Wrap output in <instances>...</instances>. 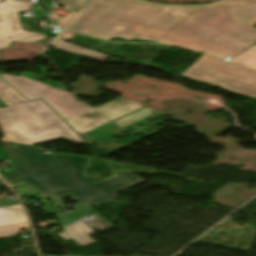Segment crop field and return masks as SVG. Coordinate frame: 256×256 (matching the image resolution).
<instances>
[{"mask_svg": "<svg viewBox=\"0 0 256 256\" xmlns=\"http://www.w3.org/2000/svg\"><path fill=\"white\" fill-rule=\"evenodd\" d=\"M74 15H75L74 13H70L68 16L63 17L56 22L59 24L61 28H63L65 25H67L70 22V20L74 17Z\"/></svg>", "mask_w": 256, "mask_h": 256, "instance_id": "obj_14", "label": "crop field"}, {"mask_svg": "<svg viewBox=\"0 0 256 256\" xmlns=\"http://www.w3.org/2000/svg\"><path fill=\"white\" fill-rule=\"evenodd\" d=\"M11 86L16 88L30 101L35 98L44 99L64 120L91 109L88 105L78 103L70 93L64 90L51 88L27 77H14L9 74H2Z\"/></svg>", "mask_w": 256, "mask_h": 256, "instance_id": "obj_4", "label": "crop field"}, {"mask_svg": "<svg viewBox=\"0 0 256 256\" xmlns=\"http://www.w3.org/2000/svg\"><path fill=\"white\" fill-rule=\"evenodd\" d=\"M0 99L7 103L35 133L62 121L40 99L32 103L27 102L1 79Z\"/></svg>", "mask_w": 256, "mask_h": 256, "instance_id": "obj_6", "label": "crop field"}, {"mask_svg": "<svg viewBox=\"0 0 256 256\" xmlns=\"http://www.w3.org/2000/svg\"><path fill=\"white\" fill-rule=\"evenodd\" d=\"M73 35H74V34L65 32L60 38H61V39H66V40H68V39L72 38Z\"/></svg>", "mask_w": 256, "mask_h": 256, "instance_id": "obj_15", "label": "crop field"}, {"mask_svg": "<svg viewBox=\"0 0 256 256\" xmlns=\"http://www.w3.org/2000/svg\"><path fill=\"white\" fill-rule=\"evenodd\" d=\"M12 170L2 174L3 179L14 187L22 182L29 184L49 200L70 194L74 201L94 206L112 201L115 194L145 180L126 172L115 178L96 183L89 181L82 170L86 157L71 155H40L35 147L4 142Z\"/></svg>", "mask_w": 256, "mask_h": 256, "instance_id": "obj_2", "label": "crop field"}, {"mask_svg": "<svg viewBox=\"0 0 256 256\" xmlns=\"http://www.w3.org/2000/svg\"><path fill=\"white\" fill-rule=\"evenodd\" d=\"M25 221L28 220L20 205L0 208V225L19 223Z\"/></svg>", "mask_w": 256, "mask_h": 256, "instance_id": "obj_10", "label": "crop field"}, {"mask_svg": "<svg viewBox=\"0 0 256 256\" xmlns=\"http://www.w3.org/2000/svg\"><path fill=\"white\" fill-rule=\"evenodd\" d=\"M231 62L256 69V45L233 58Z\"/></svg>", "mask_w": 256, "mask_h": 256, "instance_id": "obj_11", "label": "crop field"}, {"mask_svg": "<svg viewBox=\"0 0 256 256\" xmlns=\"http://www.w3.org/2000/svg\"><path fill=\"white\" fill-rule=\"evenodd\" d=\"M31 8V4L16 0L0 2V48H6L12 41L34 42L47 36L21 30L17 13Z\"/></svg>", "mask_w": 256, "mask_h": 256, "instance_id": "obj_7", "label": "crop field"}, {"mask_svg": "<svg viewBox=\"0 0 256 256\" xmlns=\"http://www.w3.org/2000/svg\"><path fill=\"white\" fill-rule=\"evenodd\" d=\"M95 214L92 207H89L84 204L77 203L75 204L74 210L71 212H65L58 214L63 226L74 221H77L82 218L89 217Z\"/></svg>", "mask_w": 256, "mask_h": 256, "instance_id": "obj_9", "label": "crop field"}, {"mask_svg": "<svg viewBox=\"0 0 256 256\" xmlns=\"http://www.w3.org/2000/svg\"><path fill=\"white\" fill-rule=\"evenodd\" d=\"M1 206H5L4 203L2 202V200L0 199V207Z\"/></svg>", "mask_w": 256, "mask_h": 256, "instance_id": "obj_17", "label": "crop field"}, {"mask_svg": "<svg viewBox=\"0 0 256 256\" xmlns=\"http://www.w3.org/2000/svg\"><path fill=\"white\" fill-rule=\"evenodd\" d=\"M63 139H66V140H69V141L74 142V141H73V140H71L68 136H65Z\"/></svg>", "mask_w": 256, "mask_h": 256, "instance_id": "obj_16", "label": "crop field"}, {"mask_svg": "<svg viewBox=\"0 0 256 256\" xmlns=\"http://www.w3.org/2000/svg\"><path fill=\"white\" fill-rule=\"evenodd\" d=\"M26 229H30L28 222L0 226V238L15 236V234L19 233L20 230H26Z\"/></svg>", "mask_w": 256, "mask_h": 256, "instance_id": "obj_12", "label": "crop field"}, {"mask_svg": "<svg viewBox=\"0 0 256 256\" xmlns=\"http://www.w3.org/2000/svg\"><path fill=\"white\" fill-rule=\"evenodd\" d=\"M63 42H60V41L57 40L52 45V47H55V48H58V49H61V50H65V51H68V52H71V53H74V54H77V55H80V56H83V57H86V58H89V59H93V60H96V61H99V62H102V63H104L107 59L110 58V56L103 55V54H100V53H97V52H93V51L83 49V48L73 46V45H70V44H67V43H63Z\"/></svg>", "mask_w": 256, "mask_h": 256, "instance_id": "obj_8", "label": "crop field"}, {"mask_svg": "<svg viewBox=\"0 0 256 256\" xmlns=\"http://www.w3.org/2000/svg\"><path fill=\"white\" fill-rule=\"evenodd\" d=\"M181 76L256 98V71L203 56Z\"/></svg>", "mask_w": 256, "mask_h": 256, "instance_id": "obj_3", "label": "crop field"}, {"mask_svg": "<svg viewBox=\"0 0 256 256\" xmlns=\"http://www.w3.org/2000/svg\"><path fill=\"white\" fill-rule=\"evenodd\" d=\"M0 128L5 136L1 140L30 146L59 139L65 135L76 143L84 144L83 140L64 121L35 134L9 107L0 109Z\"/></svg>", "mask_w": 256, "mask_h": 256, "instance_id": "obj_5", "label": "crop field"}, {"mask_svg": "<svg viewBox=\"0 0 256 256\" xmlns=\"http://www.w3.org/2000/svg\"><path fill=\"white\" fill-rule=\"evenodd\" d=\"M88 1L89 0H64L61 5L72 12H79Z\"/></svg>", "mask_w": 256, "mask_h": 256, "instance_id": "obj_13", "label": "crop field"}, {"mask_svg": "<svg viewBox=\"0 0 256 256\" xmlns=\"http://www.w3.org/2000/svg\"><path fill=\"white\" fill-rule=\"evenodd\" d=\"M256 0L167 5L143 0H94L67 31L108 40L144 39L218 58L256 42Z\"/></svg>", "mask_w": 256, "mask_h": 256, "instance_id": "obj_1", "label": "crop field"}]
</instances>
